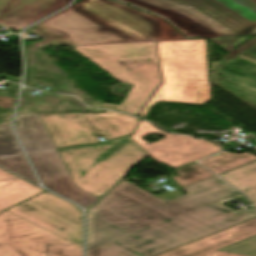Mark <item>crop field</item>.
<instances>
[{"label":"crop field","mask_w":256,"mask_h":256,"mask_svg":"<svg viewBox=\"0 0 256 256\" xmlns=\"http://www.w3.org/2000/svg\"><path fill=\"white\" fill-rule=\"evenodd\" d=\"M16 121V131L45 187L83 207L98 199L75 187L37 114L17 115Z\"/></svg>","instance_id":"crop-field-5"},{"label":"crop field","mask_w":256,"mask_h":256,"mask_svg":"<svg viewBox=\"0 0 256 256\" xmlns=\"http://www.w3.org/2000/svg\"><path fill=\"white\" fill-rule=\"evenodd\" d=\"M16 206L82 235L81 212L75 206L47 192Z\"/></svg>","instance_id":"crop-field-15"},{"label":"crop field","mask_w":256,"mask_h":256,"mask_svg":"<svg viewBox=\"0 0 256 256\" xmlns=\"http://www.w3.org/2000/svg\"><path fill=\"white\" fill-rule=\"evenodd\" d=\"M219 251L256 256V235L219 249Z\"/></svg>","instance_id":"crop-field-26"},{"label":"crop field","mask_w":256,"mask_h":256,"mask_svg":"<svg viewBox=\"0 0 256 256\" xmlns=\"http://www.w3.org/2000/svg\"><path fill=\"white\" fill-rule=\"evenodd\" d=\"M121 83L135 84L120 104H101L137 116L161 84L155 42L75 47ZM81 54V55H82ZM155 59L122 63V60Z\"/></svg>","instance_id":"crop-field-2"},{"label":"crop field","mask_w":256,"mask_h":256,"mask_svg":"<svg viewBox=\"0 0 256 256\" xmlns=\"http://www.w3.org/2000/svg\"><path fill=\"white\" fill-rule=\"evenodd\" d=\"M73 7L133 42L161 40L156 19L142 11L109 0H82Z\"/></svg>","instance_id":"crop-field-10"},{"label":"crop field","mask_w":256,"mask_h":256,"mask_svg":"<svg viewBox=\"0 0 256 256\" xmlns=\"http://www.w3.org/2000/svg\"><path fill=\"white\" fill-rule=\"evenodd\" d=\"M44 40L32 45H83L132 42L102 24L87 17L75 8H70L32 28Z\"/></svg>","instance_id":"crop-field-7"},{"label":"crop field","mask_w":256,"mask_h":256,"mask_svg":"<svg viewBox=\"0 0 256 256\" xmlns=\"http://www.w3.org/2000/svg\"><path fill=\"white\" fill-rule=\"evenodd\" d=\"M149 133H157L166 137L149 144L141 139V137L146 136ZM130 137L156 162L173 169L221 150V148L213 143L196 140L193 137L163 133L155 129L152 124L143 120H141L136 133L130 135Z\"/></svg>","instance_id":"crop-field-11"},{"label":"crop field","mask_w":256,"mask_h":256,"mask_svg":"<svg viewBox=\"0 0 256 256\" xmlns=\"http://www.w3.org/2000/svg\"><path fill=\"white\" fill-rule=\"evenodd\" d=\"M48 244L73 243L6 211L0 213V256H48Z\"/></svg>","instance_id":"crop-field-12"},{"label":"crop field","mask_w":256,"mask_h":256,"mask_svg":"<svg viewBox=\"0 0 256 256\" xmlns=\"http://www.w3.org/2000/svg\"><path fill=\"white\" fill-rule=\"evenodd\" d=\"M184 190L188 194L164 202L135 185L122 181L89 210L137 233L167 218L238 193L216 176Z\"/></svg>","instance_id":"crop-field-1"},{"label":"crop field","mask_w":256,"mask_h":256,"mask_svg":"<svg viewBox=\"0 0 256 256\" xmlns=\"http://www.w3.org/2000/svg\"><path fill=\"white\" fill-rule=\"evenodd\" d=\"M164 82L139 117L156 101L202 105L209 100V77L204 39L158 42Z\"/></svg>","instance_id":"crop-field-3"},{"label":"crop field","mask_w":256,"mask_h":256,"mask_svg":"<svg viewBox=\"0 0 256 256\" xmlns=\"http://www.w3.org/2000/svg\"><path fill=\"white\" fill-rule=\"evenodd\" d=\"M174 173L178 174V176L173 177V179L176 180L181 187H186L214 176L212 173L198 165L184 166L176 170Z\"/></svg>","instance_id":"crop-field-25"},{"label":"crop field","mask_w":256,"mask_h":256,"mask_svg":"<svg viewBox=\"0 0 256 256\" xmlns=\"http://www.w3.org/2000/svg\"><path fill=\"white\" fill-rule=\"evenodd\" d=\"M56 149L100 142L102 136L82 113L38 114Z\"/></svg>","instance_id":"crop-field-14"},{"label":"crop field","mask_w":256,"mask_h":256,"mask_svg":"<svg viewBox=\"0 0 256 256\" xmlns=\"http://www.w3.org/2000/svg\"><path fill=\"white\" fill-rule=\"evenodd\" d=\"M117 124L118 126L127 134L134 132L139 119L119 114L113 111H105Z\"/></svg>","instance_id":"crop-field-27"},{"label":"crop field","mask_w":256,"mask_h":256,"mask_svg":"<svg viewBox=\"0 0 256 256\" xmlns=\"http://www.w3.org/2000/svg\"><path fill=\"white\" fill-rule=\"evenodd\" d=\"M217 256H246V255H239V254H232V253L217 251Z\"/></svg>","instance_id":"crop-field-30"},{"label":"crop field","mask_w":256,"mask_h":256,"mask_svg":"<svg viewBox=\"0 0 256 256\" xmlns=\"http://www.w3.org/2000/svg\"><path fill=\"white\" fill-rule=\"evenodd\" d=\"M256 29V0H208Z\"/></svg>","instance_id":"crop-field-23"},{"label":"crop field","mask_w":256,"mask_h":256,"mask_svg":"<svg viewBox=\"0 0 256 256\" xmlns=\"http://www.w3.org/2000/svg\"><path fill=\"white\" fill-rule=\"evenodd\" d=\"M122 1H125V2H127V3H130V4L135 5L134 2H133V0H122Z\"/></svg>","instance_id":"crop-field-32"},{"label":"crop field","mask_w":256,"mask_h":256,"mask_svg":"<svg viewBox=\"0 0 256 256\" xmlns=\"http://www.w3.org/2000/svg\"><path fill=\"white\" fill-rule=\"evenodd\" d=\"M0 77L7 78V79H16V78H12V77H8V76H2V75H0Z\"/></svg>","instance_id":"crop-field-33"},{"label":"crop field","mask_w":256,"mask_h":256,"mask_svg":"<svg viewBox=\"0 0 256 256\" xmlns=\"http://www.w3.org/2000/svg\"><path fill=\"white\" fill-rule=\"evenodd\" d=\"M75 185L100 197L148 154L129 136L59 150Z\"/></svg>","instance_id":"crop-field-4"},{"label":"crop field","mask_w":256,"mask_h":256,"mask_svg":"<svg viewBox=\"0 0 256 256\" xmlns=\"http://www.w3.org/2000/svg\"><path fill=\"white\" fill-rule=\"evenodd\" d=\"M249 37H232V38H214V39H210L211 41H213L214 43H216L217 45H219L220 47H222L226 51L230 52L223 59H221L220 61L211 62V64H212L211 83L220 87L224 91L228 92L229 94L233 95L237 99L241 100L242 102H244L245 104L249 105L250 107H252L256 110V102L252 101V100L256 101V99L253 98V97H250L248 95H245L243 93L253 95V96H256V94L227 84V82H229V83L235 84L237 86H240V87H243V88H246V89H249V90H252V91L256 92V73L231 64L232 62H234L236 64H239V65L243 66V67H246L248 69L256 71V65H253V64L247 63L245 61L236 59L237 57H239V58H243V59H245L249 62H252V63L256 64V36L252 37L250 40H248L247 42L242 44L237 49H235V50L233 49L234 47H236L237 45H239L240 43H242L244 40H246ZM227 66L239 69V70H241V72H239L237 70H234V69H231ZM224 69H227V70H230L232 72L238 73V74L243 75L245 77L226 72V71H224ZM218 74L226 77V83H224L223 77L218 76ZM229 87H231L235 90H238L240 92H243V93L230 90V89H228ZM238 94H240L242 96H245L247 98H250L252 100L241 97Z\"/></svg>","instance_id":"crop-field-9"},{"label":"crop field","mask_w":256,"mask_h":256,"mask_svg":"<svg viewBox=\"0 0 256 256\" xmlns=\"http://www.w3.org/2000/svg\"><path fill=\"white\" fill-rule=\"evenodd\" d=\"M220 177L240 189L256 206V163L223 174Z\"/></svg>","instance_id":"crop-field-22"},{"label":"crop field","mask_w":256,"mask_h":256,"mask_svg":"<svg viewBox=\"0 0 256 256\" xmlns=\"http://www.w3.org/2000/svg\"><path fill=\"white\" fill-rule=\"evenodd\" d=\"M153 17H155L158 21V26L162 40L187 39L164 19L156 16Z\"/></svg>","instance_id":"crop-field-28"},{"label":"crop field","mask_w":256,"mask_h":256,"mask_svg":"<svg viewBox=\"0 0 256 256\" xmlns=\"http://www.w3.org/2000/svg\"><path fill=\"white\" fill-rule=\"evenodd\" d=\"M169 9L216 37L246 36L253 28L207 0H145Z\"/></svg>","instance_id":"crop-field-13"},{"label":"crop field","mask_w":256,"mask_h":256,"mask_svg":"<svg viewBox=\"0 0 256 256\" xmlns=\"http://www.w3.org/2000/svg\"><path fill=\"white\" fill-rule=\"evenodd\" d=\"M66 5L61 0H0V23L19 30Z\"/></svg>","instance_id":"crop-field-16"},{"label":"crop field","mask_w":256,"mask_h":256,"mask_svg":"<svg viewBox=\"0 0 256 256\" xmlns=\"http://www.w3.org/2000/svg\"><path fill=\"white\" fill-rule=\"evenodd\" d=\"M0 166L37 183L13 136L10 125H2L0 127Z\"/></svg>","instance_id":"crop-field-19"},{"label":"crop field","mask_w":256,"mask_h":256,"mask_svg":"<svg viewBox=\"0 0 256 256\" xmlns=\"http://www.w3.org/2000/svg\"><path fill=\"white\" fill-rule=\"evenodd\" d=\"M83 115L106 140H113L126 135L105 113H83Z\"/></svg>","instance_id":"crop-field-24"},{"label":"crop field","mask_w":256,"mask_h":256,"mask_svg":"<svg viewBox=\"0 0 256 256\" xmlns=\"http://www.w3.org/2000/svg\"><path fill=\"white\" fill-rule=\"evenodd\" d=\"M256 34V30L255 31H253L251 34H249V35H255ZM248 35V36H249Z\"/></svg>","instance_id":"crop-field-34"},{"label":"crop field","mask_w":256,"mask_h":256,"mask_svg":"<svg viewBox=\"0 0 256 256\" xmlns=\"http://www.w3.org/2000/svg\"><path fill=\"white\" fill-rule=\"evenodd\" d=\"M19 217L29 220L73 243L72 246H57L48 245L49 256H82V236L65 229L59 225H56L50 221H47L41 217L31 214L25 210H22L16 206L6 210Z\"/></svg>","instance_id":"crop-field-18"},{"label":"crop field","mask_w":256,"mask_h":256,"mask_svg":"<svg viewBox=\"0 0 256 256\" xmlns=\"http://www.w3.org/2000/svg\"><path fill=\"white\" fill-rule=\"evenodd\" d=\"M204 256H216V251L212 252V253H209L207 255H204Z\"/></svg>","instance_id":"crop-field-31"},{"label":"crop field","mask_w":256,"mask_h":256,"mask_svg":"<svg viewBox=\"0 0 256 256\" xmlns=\"http://www.w3.org/2000/svg\"><path fill=\"white\" fill-rule=\"evenodd\" d=\"M63 1H65V2H67V3H68L70 0H63Z\"/></svg>","instance_id":"crop-field-35"},{"label":"crop field","mask_w":256,"mask_h":256,"mask_svg":"<svg viewBox=\"0 0 256 256\" xmlns=\"http://www.w3.org/2000/svg\"><path fill=\"white\" fill-rule=\"evenodd\" d=\"M45 190L0 169V212Z\"/></svg>","instance_id":"crop-field-20"},{"label":"crop field","mask_w":256,"mask_h":256,"mask_svg":"<svg viewBox=\"0 0 256 256\" xmlns=\"http://www.w3.org/2000/svg\"><path fill=\"white\" fill-rule=\"evenodd\" d=\"M167 249L87 211V256H153Z\"/></svg>","instance_id":"crop-field-8"},{"label":"crop field","mask_w":256,"mask_h":256,"mask_svg":"<svg viewBox=\"0 0 256 256\" xmlns=\"http://www.w3.org/2000/svg\"><path fill=\"white\" fill-rule=\"evenodd\" d=\"M254 160H256V156L250 153L239 155L223 151L218 155L209 157L198 162L213 173L219 175Z\"/></svg>","instance_id":"crop-field-21"},{"label":"crop field","mask_w":256,"mask_h":256,"mask_svg":"<svg viewBox=\"0 0 256 256\" xmlns=\"http://www.w3.org/2000/svg\"><path fill=\"white\" fill-rule=\"evenodd\" d=\"M256 234V218L157 256H201Z\"/></svg>","instance_id":"crop-field-17"},{"label":"crop field","mask_w":256,"mask_h":256,"mask_svg":"<svg viewBox=\"0 0 256 256\" xmlns=\"http://www.w3.org/2000/svg\"><path fill=\"white\" fill-rule=\"evenodd\" d=\"M233 198L242 199L247 205L250 203L238 193L233 196L213 202L196 210L163 222L137 234L167 248L184 244L201 236L225 228L256 216V210L235 212L222 205Z\"/></svg>","instance_id":"crop-field-6"},{"label":"crop field","mask_w":256,"mask_h":256,"mask_svg":"<svg viewBox=\"0 0 256 256\" xmlns=\"http://www.w3.org/2000/svg\"><path fill=\"white\" fill-rule=\"evenodd\" d=\"M0 101V104L2 105L1 107L12 108L13 98L0 97Z\"/></svg>","instance_id":"crop-field-29"}]
</instances>
